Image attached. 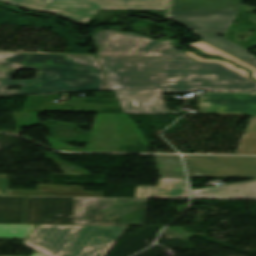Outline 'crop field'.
<instances>
[{
	"label": "crop field",
	"mask_w": 256,
	"mask_h": 256,
	"mask_svg": "<svg viewBox=\"0 0 256 256\" xmlns=\"http://www.w3.org/2000/svg\"><path fill=\"white\" fill-rule=\"evenodd\" d=\"M17 69L37 70V78L10 81ZM104 77L95 57L0 52V96L103 90Z\"/></svg>",
	"instance_id": "1"
},
{
	"label": "crop field",
	"mask_w": 256,
	"mask_h": 256,
	"mask_svg": "<svg viewBox=\"0 0 256 256\" xmlns=\"http://www.w3.org/2000/svg\"><path fill=\"white\" fill-rule=\"evenodd\" d=\"M147 199L26 197L24 224L145 226Z\"/></svg>",
	"instance_id": "2"
},
{
	"label": "crop field",
	"mask_w": 256,
	"mask_h": 256,
	"mask_svg": "<svg viewBox=\"0 0 256 256\" xmlns=\"http://www.w3.org/2000/svg\"><path fill=\"white\" fill-rule=\"evenodd\" d=\"M106 90L234 84L197 61L97 57Z\"/></svg>",
	"instance_id": "3"
},
{
	"label": "crop field",
	"mask_w": 256,
	"mask_h": 256,
	"mask_svg": "<svg viewBox=\"0 0 256 256\" xmlns=\"http://www.w3.org/2000/svg\"><path fill=\"white\" fill-rule=\"evenodd\" d=\"M128 227L37 225L23 244L48 256H105Z\"/></svg>",
	"instance_id": "4"
},
{
	"label": "crop field",
	"mask_w": 256,
	"mask_h": 256,
	"mask_svg": "<svg viewBox=\"0 0 256 256\" xmlns=\"http://www.w3.org/2000/svg\"><path fill=\"white\" fill-rule=\"evenodd\" d=\"M208 68L235 82L234 85L165 88L114 91L121 109L124 113H150L170 114L161 94L177 92H194L204 90L206 92H253L256 91V83L218 64L201 62Z\"/></svg>",
	"instance_id": "5"
},
{
	"label": "crop field",
	"mask_w": 256,
	"mask_h": 256,
	"mask_svg": "<svg viewBox=\"0 0 256 256\" xmlns=\"http://www.w3.org/2000/svg\"><path fill=\"white\" fill-rule=\"evenodd\" d=\"M243 0H171L169 17L194 32L226 33Z\"/></svg>",
	"instance_id": "6"
},
{
	"label": "crop field",
	"mask_w": 256,
	"mask_h": 256,
	"mask_svg": "<svg viewBox=\"0 0 256 256\" xmlns=\"http://www.w3.org/2000/svg\"><path fill=\"white\" fill-rule=\"evenodd\" d=\"M98 45L96 56H123L193 60L174 47V41L162 43L133 33L101 30L92 36Z\"/></svg>",
	"instance_id": "7"
},
{
	"label": "crop field",
	"mask_w": 256,
	"mask_h": 256,
	"mask_svg": "<svg viewBox=\"0 0 256 256\" xmlns=\"http://www.w3.org/2000/svg\"><path fill=\"white\" fill-rule=\"evenodd\" d=\"M189 177L256 178V157L183 156Z\"/></svg>",
	"instance_id": "8"
},
{
	"label": "crop field",
	"mask_w": 256,
	"mask_h": 256,
	"mask_svg": "<svg viewBox=\"0 0 256 256\" xmlns=\"http://www.w3.org/2000/svg\"><path fill=\"white\" fill-rule=\"evenodd\" d=\"M198 108L202 114L256 115V93H211L198 99Z\"/></svg>",
	"instance_id": "9"
},
{
	"label": "crop field",
	"mask_w": 256,
	"mask_h": 256,
	"mask_svg": "<svg viewBox=\"0 0 256 256\" xmlns=\"http://www.w3.org/2000/svg\"><path fill=\"white\" fill-rule=\"evenodd\" d=\"M99 8L93 0H48L39 11L86 26Z\"/></svg>",
	"instance_id": "10"
},
{
	"label": "crop field",
	"mask_w": 256,
	"mask_h": 256,
	"mask_svg": "<svg viewBox=\"0 0 256 256\" xmlns=\"http://www.w3.org/2000/svg\"><path fill=\"white\" fill-rule=\"evenodd\" d=\"M38 11L47 0H0ZM101 9L166 10L168 0H94Z\"/></svg>",
	"instance_id": "11"
},
{
	"label": "crop field",
	"mask_w": 256,
	"mask_h": 256,
	"mask_svg": "<svg viewBox=\"0 0 256 256\" xmlns=\"http://www.w3.org/2000/svg\"><path fill=\"white\" fill-rule=\"evenodd\" d=\"M191 199L256 200V180L212 187L192 193Z\"/></svg>",
	"instance_id": "12"
},
{
	"label": "crop field",
	"mask_w": 256,
	"mask_h": 256,
	"mask_svg": "<svg viewBox=\"0 0 256 256\" xmlns=\"http://www.w3.org/2000/svg\"><path fill=\"white\" fill-rule=\"evenodd\" d=\"M135 197L189 199L186 178L160 177L156 187L137 186Z\"/></svg>",
	"instance_id": "13"
},
{
	"label": "crop field",
	"mask_w": 256,
	"mask_h": 256,
	"mask_svg": "<svg viewBox=\"0 0 256 256\" xmlns=\"http://www.w3.org/2000/svg\"><path fill=\"white\" fill-rule=\"evenodd\" d=\"M39 191L9 190V195L20 196H84L102 197L103 192H82L81 187H68L61 185L38 186Z\"/></svg>",
	"instance_id": "14"
},
{
	"label": "crop field",
	"mask_w": 256,
	"mask_h": 256,
	"mask_svg": "<svg viewBox=\"0 0 256 256\" xmlns=\"http://www.w3.org/2000/svg\"><path fill=\"white\" fill-rule=\"evenodd\" d=\"M25 198L0 196V223L23 224Z\"/></svg>",
	"instance_id": "15"
},
{
	"label": "crop field",
	"mask_w": 256,
	"mask_h": 256,
	"mask_svg": "<svg viewBox=\"0 0 256 256\" xmlns=\"http://www.w3.org/2000/svg\"><path fill=\"white\" fill-rule=\"evenodd\" d=\"M154 156L161 176L186 177L179 156Z\"/></svg>",
	"instance_id": "16"
},
{
	"label": "crop field",
	"mask_w": 256,
	"mask_h": 256,
	"mask_svg": "<svg viewBox=\"0 0 256 256\" xmlns=\"http://www.w3.org/2000/svg\"><path fill=\"white\" fill-rule=\"evenodd\" d=\"M234 154H256V116H252Z\"/></svg>",
	"instance_id": "17"
},
{
	"label": "crop field",
	"mask_w": 256,
	"mask_h": 256,
	"mask_svg": "<svg viewBox=\"0 0 256 256\" xmlns=\"http://www.w3.org/2000/svg\"><path fill=\"white\" fill-rule=\"evenodd\" d=\"M201 36V40L208 42L242 60L253 58L252 55L247 53L246 50L224 40L223 38L217 36V35H199Z\"/></svg>",
	"instance_id": "18"
},
{
	"label": "crop field",
	"mask_w": 256,
	"mask_h": 256,
	"mask_svg": "<svg viewBox=\"0 0 256 256\" xmlns=\"http://www.w3.org/2000/svg\"><path fill=\"white\" fill-rule=\"evenodd\" d=\"M35 225H6L0 224V238L25 239ZM32 256H43L35 252Z\"/></svg>",
	"instance_id": "19"
},
{
	"label": "crop field",
	"mask_w": 256,
	"mask_h": 256,
	"mask_svg": "<svg viewBox=\"0 0 256 256\" xmlns=\"http://www.w3.org/2000/svg\"><path fill=\"white\" fill-rule=\"evenodd\" d=\"M186 46L197 48V49L201 50L203 53H206V54L221 55V56H223V57H225L229 60H232V61H234L238 64H241V65L251 69L252 74H253V78L256 79V69L255 68L243 63L242 61H240V60H238V59H236V58H234V57H232V56H230V55H228V54H226V53H224V52H222V51H220V50H218V49H216V48H214V47H212V46H210V45H208V44H206L202 41H199L197 43L187 44Z\"/></svg>",
	"instance_id": "20"
},
{
	"label": "crop field",
	"mask_w": 256,
	"mask_h": 256,
	"mask_svg": "<svg viewBox=\"0 0 256 256\" xmlns=\"http://www.w3.org/2000/svg\"><path fill=\"white\" fill-rule=\"evenodd\" d=\"M183 52H184L185 54L189 55L190 57H192V58L198 60V61L218 62V63H220V64H222V65H224V66L230 68L231 70H233V71H235V72H237V73H239V74H241V75H243V76H245V77L248 78V73H247V71H244V70H242V69H240V68H238V67H235V66H233V65H231V64H229V63H227V62L220 61V60H217V59H203V58L197 57L196 55L192 54V53L189 52V51H183Z\"/></svg>",
	"instance_id": "21"
},
{
	"label": "crop field",
	"mask_w": 256,
	"mask_h": 256,
	"mask_svg": "<svg viewBox=\"0 0 256 256\" xmlns=\"http://www.w3.org/2000/svg\"><path fill=\"white\" fill-rule=\"evenodd\" d=\"M0 192L3 195H8V177L0 174Z\"/></svg>",
	"instance_id": "22"
},
{
	"label": "crop field",
	"mask_w": 256,
	"mask_h": 256,
	"mask_svg": "<svg viewBox=\"0 0 256 256\" xmlns=\"http://www.w3.org/2000/svg\"><path fill=\"white\" fill-rule=\"evenodd\" d=\"M254 67H256V58L244 61Z\"/></svg>",
	"instance_id": "23"
}]
</instances>
